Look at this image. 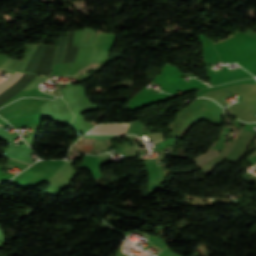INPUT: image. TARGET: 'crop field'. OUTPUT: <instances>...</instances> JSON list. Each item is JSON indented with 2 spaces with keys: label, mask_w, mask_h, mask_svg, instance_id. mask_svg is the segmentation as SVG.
<instances>
[{
  "label": "crop field",
  "mask_w": 256,
  "mask_h": 256,
  "mask_svg": "<svg viewBox=\"0 0 256 256\" xmlns=\"http://www.w3.org/2000/svg\"><path fill=\"white\" fill-rule=\"evenodd\" d=\"M129 123L127 124H102L89 133H114L125 134Z\"/></svg>",
  "instance_id": "obj_1"
},
{
  "label": "crop field",
  "mask_w": 256,
  "mask_h": 256,
  "mask_svg": "<svg viewBox=\"0 0 256 256\" xmlns=\"http://www.w3.org/2000/svg\"><path fill=\"white\" fill-rule=\"evenodd\" d=\"M23 74L24 73L15 71L12 76H10L8 79L0 84V93L8 88L10 85H12L14 82H16L18 79H20Z\"/></svg>",
  "instance_id": "obj_2"
}]
</instances>
